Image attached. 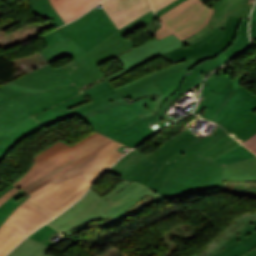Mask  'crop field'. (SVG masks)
<instances>
[{"label":"crop field","mask_w":256,"mask_h":256,"mask_svg":"<svg viewBox=\"0 0 256 256\" xmlns=\"http://www.w3.org/2000/svg\"><path fill=\"white\" fill-rule=\"evenodd\" d=\"M157 19L152 11L119 29L89 52L68 38L41 51L53 63L70 55L74 61L59 69L47 65L20 79L0 86V162L21 139L43 127L33 116L77 95L86 84L104 76L98 65L131 49L124 36ZM74 83V84H73Z\"/></svg>","instance_id":"obj_1"},{"label":"crop field","mask_w":256,"mask_h":256,"mask_svg":"<svg viewBox=\"0 0 256 256\" xmlns=\"http://www.w3.org/2000/svg\"><path fill=\"white\" fill-rule=\"evenodd\" d=\"M83 92L93 101L72 111L65 108L41 123L48 127L77 115L89 127L132 148L154 134L149 125L163 119L143 107L157 96L128 104L108 80Z\"/></svg>","instance_id":"obj_2"},{"label":"crop field","mask_w":256,"mask_h":256,"mask_svg":"<svg viewBox=\"0 0 256 256\" xmlns=\"http://www.w3.org/2000/svg\"><path fill=\"white\" fill-rule=\"evenodd\" d=\"M225 134L217 125L211 136L201 135L191 146L169 159V164L166 161L146 186L170 200L221 187L223 166L199 155Z\"/></svg>","instance_id":"obj_3"},{"label":"crop field","mask_w":256,"mask_h":256,"mask_svg":"<svg viewBox=\"0 0 256 256\" xmlns=\"http://www.w3.org/2000/svg\"><path fill=\"white\" fill-rule=\"evenodd\" d=\"M227 61L229 60L220 51L197 61L191 59L170 65L158 70L160 73L156 71L141 79H136L119 86L115 90L128 103L142 97L161 94L145 107L163 117L176 97L183 94L190 87L196 89L208 73ZM190 68H193V73L191 75H185L186 71Z\"/></svg>","instance_id":"obj_4"},{"label":"crop field","mask_w":256,"mask_h":256,"mask_svg":"<svg viewBox=\"0 0 256 256\" xmlns=\"http://www.w3.org/2000/svg\"><path fill=\"white\" fill-rule=\"evenodd\" d=\"M121 146L111 142L30 194L32 197L27 200L54 216L59 214L78 200L87 188L123 155L116 150Z\"/></svg>","instance_id":"obj_5"},{"label":"crop field","mask_w":256,"mask_h":256,"mask_svg":"<svg viewBox=\"0 0 256 256\" xmlns=\"http://www.w3.org/2000/svg\"><path fill=\"white\" fill-rule=\"evenodd\" d=\"M111 141L96 131L72 146L58 140L33 157L28 173L14 185L30 194Z\"/></svg>","instance_id":"obj_6"},{"label":"crop field","mask_w":256,"mask_h":256,"mask_svg":"<svg viewBox=\"0 0 256 256\" xmlns=\"http://www.w3.org/2000/svg\"><path fill=\"white\" fill-rule=\"evenodd\" d=\"M205 106L203 118L219 123L241 143L256 134V95L238 83L231 80Z\"/></svg>","instance_id":"obj_7"},{"label":"crop field","mask_w":256,"mask_h":256,"mask_svg":"<svg viewBox=\"0 0 256 256\" xmlns=\"http://www.w3.org/2000/svg\"><path fill=\"white\" fill-rule=\"evenodd\" d=\"M189 129L175 142L167 140L156 151L146 156L135 149L127 153L108 172L127 180L146 185L161 169L166 160L191 145L199 134Z\"/></svg>","instance_id":"obj_8"},{"label":"crop field","mask_w":256,"mask_h":256,"mask_svg":"<svg viewBox=\"0 0 256 256\" xmlns=\"http://www.w3.org/2000/svg\"><path fill=\"white\" fill-rule=\"evenodd\" d=\"M116 30L117 27L102 7H95L77 20L42 37L47 45L68 37L87 52Z\"/></svg>","instance_id":"obj_9"},{"label":"crop field","mask_w":256,"mask_h":256,"mask_svg":"<svg viewBox=\"0 0 256 256\" xmlns=\"http://www.w3.org/2000/svg\"><path fill=\"white\" fill-rule=\"evenodd\" d=\"M246 212L235 218L237 223L208 245L200 256H256V212Z\"/></svg>","instance_id":"obj_10"},{"label":"crop field","mask_w":256,"mask_h":256,"mask_svg":"<svg viewBox=\"0 0 256 256\" xmlns=\"http://www.w3.org/2000/svg\"><path fill=\"white\" fill-rule=\"evenodd\" d=\"M212 14L213 10L201 1L187 0L159 17L163 27L154 35L160 39L174 33L182 40L203 28Z\"/></svg>","instance_id":"obj_11"},{"label":"crop field","mask_w":256,"mask_h":256,"mask_svg":"<svg viewBox=\"0 0 256 256\" xmlns=\"http://www.w3.org/2000/svg\"><path fill=\"white\" fill-rule=\"evenodd\" d=\"M162 198L164 197L152 191L150 188L133 181L118 194L107 199L113 204L111 203L112 205L104 211L110 217L106 221L92 226H90L89 223L82 224L63 233L69 236L87 227H105L111 225L112 223L121 221L130 216L131 213L137 210H141L152 203L158 202V200Z\"/></svg>","instance_id":"obj_12"},{"label":"crop field","mask_w":256,"mask_h":256,"mask_svg":"<svg viewBox=\"0 0 256 256\" xmlns=\"http://www.w3.org/2000/svg\"><path fill=\"white\" fill-rule=\"evenodd\" d=\"M129 183L130 181L127 180L122 181L114 189L102 197L90 189L81 200H79L63 214L49 222V224L62 232L82 223L107 218L108 216L103 211L109 207L111 203L107 201L106 198L118 193Z\"/></svg>","instance_id":"obj_13"},{"label":"crop field","mask_w":256,"mask_h":256,"mask_svg":"<svg viewBox=\"0 0 256 256\" xmlns=\"http://www.w3.org/2000/svg\"><path fill=\"white\" fill-rule=\"evenodd\" d=\"M240 20V18L229 15L224 30L216 27L212 33L202 40L189 46L183 45L162 56L177 63L190 58L197 60L220 50L223 52L231 45Z\"/></svg>","instance_id":"obj_14"},{"label":"crop field","mask_w":256,"mask_h":256,"mask_svg":"<svg viewBox=\"0 0 256 256\" xmlns=\"http://www.w3.org/2000/svg\"><path fill=\"white\" fill-rule=\"evenodd\" d=\"M184 43L174 34L164 37L160 40L153 38L121 55L116 59L123 66V69L108 76L109 81L137 68L138 66L167 53Z\"/></svg>","instance_id":"obj_15"},{"label":"crop field","mask_w":256,"mask_h":256,"mask_svg":"<svg viewBox=\"0 0 256 256\" xmlns=\"http://www.w3.org/2000/svg\"><path fill=\"white\" fill-rule=\"evenodd\" d=\"M254 1V0H253ZM252 0H226L224 1L214 12L209 23L197 33L191 35L183 42L187 45L194 43L210 32L213 31L214 27L224 28L228 14L237 16L240 18L248 19Z\"/></svg>","instance_id":"obj_16"},{"label":"crop field","mask_w":256,"mask_h":256,"mask_svg":"<svg viewBox=\"0 0 256 256\" xmlns=\"http://www.w3.org/2000/svg\"><path fill=\"white\" fill-rule=\"evenodd\" d=\"M100 4L118 29L152 10L149 0H103Z\"/></svg>","instance_id":"obj_17"},{"label":"crop field","mask_w":256,"mask_h":256,"mask_svg":"<svg viewBox=\"0 0 256 256\" xmlns=\"http://www.w3.org/2000/svg\"><path fill=\"white\" fill-rule=\"evenodd\" d=\"M50 218L52 216L44 210L26 201L9 216L7 222L30 233Z\"/></svg>","instance_id":"obj_18"},{"label":"crop field","mask_w":256,"mask_h":256,"mask_svg":"<svg viewBox=\"0 0 256 256\" xmlns=\"http://www.w3.org/2000/svg\"><path fill=\"white\" fill-rule=\"evenodd\" d=\"M20 190L16 187L0 198V205ZM27 234V232L5 222L0 227V256H4L13 249Z\"/></svg>","instance_id":"obj_19"},{"label":"crop field","mask_w":256,"mask_h":256,"mask_svg":"<svg viewBox=\"0 0 256 256\" xmlns=\"http://www.w3.org/2000/svg\"><path fill=\"white\" fill-rule=\"evenodd\" d=\"M65 23L88 11L101 0H49Z\"/></svg>","instance_id":"obj_20"},{"label":"crop field","mask_w":256,"mask_h":256,"mask_svg":"<svg viewBox=\"0 0 256 256\" xmlns=\"http://www.w3.org/2000/svg\"><path fill=\"white\" fill-rule=\"evenodd\" d=\"M230 74H231V65L226 64L222 68H220L218 71H216L215 73L207 77L206 80L204 81L199 103H201L206 98V96L210 93L211 90L219 94L221 90L232 79L230 78ZM243 77L244 75L241 77H235L233 80L240 83Z\"/></svg>","instance_id":"obj_21"},{"label":"crop field","mask_w":256,"mask_h":256,"mask_svg":"<svg viewBox=\"0 0 256 256\" xmlns=\"http://www.w3.org/2000/svg\"><path fill=\"white\" fill-rule=\"evenodd\" d=\"M224 167V181L256 180V157Z\"/></svg>","instance_id":"obj_22"},{"label":"crop field","mask_w":256,"mask_h":256,"mask_svg":"<svg viewBox=\"0 0 256 256\" xmlns=\"http://www.w3.org/2000/svg\"><path fill=\"white\" fill-rule=\"evenodd\" d=\"M247 27L248 21L242 19L237 29L236 38L233 44L224 51L229 60L238 55L248 46L249 38L247 35Z\"/></svg>","instance_id":"obj_23"},{"label":"crop field","mask_w":256,"mask_h":256,"mask_svg":"<svg viewBox=\"0 0 256 256\" xmlns=\"http://www.w3.org/2000/svg\"><path fill=\"white\" fill-rule=\"evenodd\" d=\"M50 247L26 238L7 256H49L44 254Z\"/></svg>","instance_id":"obj_24"},{"label":"crop field","mask_w":256,"mask_h":256,"mask_svg":"<svg viewBox=\"0 0 256 256\" xmlns=\"http://www.w3.org/2000/svg\"><path fill=\"white\" fill-rule=\"evenodd\" d=\"M30 3L33 11L43 19L53 20L56 27L64 24L48 0H30Z\"/></svg>","instance_id":"obj_25"},{"label":"crop field","mask_w":256,"mask_h":256,"mask_svg":"<svg viewBox=\"0 0 256 256\" xmlns=\"http://www.w3.org/2000/svg\"><path fill=\"white\" fill-rule=\"evenodd\" d=\"M240 145L236 142L231 136L228 134L205 150L201 156L206 157L210 160L216 158L217 156L221 155L222 153Z\"/></svg>","instance_id":"obj_26"},{"label":"crop field","mask_w":256,"mask_h":256,"mask_svg":"<svg viewBox=\"0 0 256 256\" xmlns=\"http://www.w3.org/2000/svg\"><path fill=\"white\" fill-rule=\"evenodd\" d=\"M253 153L244 148L242 145L237 147L236 149L226 153L225 155L213 160L221 165L238 162L241 160H245L251 157H255Z\"/></svg>","instance_id":"obj_27"},{"label":"crop field","mask_w":256,"mask_h":256,"mask_svg":"<svg viewBox=\"0 0 256 256\" xmlns=\"http://www.w3.org/2000/svg\"><path fill=\"white\" fill-rule=\"evenodd\" d=\"M84 96H85V95L81 94V95H79V96H77V97H75V98H73V99H71V100H68V101H66V102H64V103H61V104H58V105H56V106H54V107H52V108H50V109H48V110H45V111H43V112H41V113L35 115L34 117H35L36 119H38L39 121H41V120H43V119H45V118H47V117L53 115L54 113L60 111L61 109L65 108V107L68 108V107H70V106H72V105H74V104H77V103H79V102L85 100V99L83 98ZM83 102H84V101H83ZM38 120H37V121H38Z\"/></svg>","instance_id":"obj_28"},{"label":"crop field","mask_w":256,"mask_h":256,"mask_svg":"<svg viewBox=\"0 0 256 256\" xmlns=\"http://www.w3.org/2000/svg\"><path fill=\"white\" fill-rule=\"evenodd\" d=\"M25 192L20 191L18 194L12 196L9 200H7L5 203H3L0 206V220L3 218V216L9 211L11 210L17 203H19L21 200H19L18 202L15 201L16 199H18L20 196H22Z\"/></svg>","instance_id":"obj_29"},{"label":"crop field","mask_w":256,"mask_h":256,"mask_svg":"<svg viewBox=\"0 0 256 256\" xmlns=\"http://www.w3.org/2000/svg\"><path fill=\"white\" fill-rule=\"evenodd\" d=\"M54 230V228H52L51 226H49L48 224H46L45 226H43L41 229H39L38 231H36L34 234H32L31 236H29V238L39 242L41 241L43 238H45L46 236H48L50 233H52Z\"/></svg>","instance_id":"obj_30"},{"label":"crop field","mask_w":256,"mask_h":256,"mask_svg":"<svg viewBox=\"0 0 256 256\" xmlns=\"http://www.w3.org/2000/svg\"><path fill=\"white\" fill-rule=\"evenodd\" d=\"M184 0H176L173 3L163 7L162 9H160L159 11L156 12L157 17L161 16L162 14H164L165 12H167L169 9H171L172 7H174L175 5H177L178 3L182 2ZM204 1V0H201ZM224 0H219L216 5L212 8V9H216Z\"/></svg>","instance_id":"obj_31"},{"label":"crop field","mask_w":256,"mask_h":256,"mask_svg":"<svg viewBox=\"0 0 256 256\" xmlns=\"http://www.w3.org/2000/svg\"><path fill=\"white\" fill-rule=\"evenodd\" d=\"M172 121H174V118L165 114V117L162 121H160V122H158V123H156V124H154L150 127L155 129L156 131H159L160 129H162L163 127H165L166 125H168Z\"/></svg>","instance_id":"obj_32"},{"label":"crop field","mask_w":256,"mask_h":256,"mask_svg":"<svg viewBox=\"0 0 256 256\" xmlns=\"http://www.w3.org/2000/svg\"><path fill=\"white\" fill-rule=\"evenodd\" d=\"M174 0H151L152 2V6L155 10V12L157 10H159L161 7L173 2ZM162 9V8H161Z\"/></svg>","instance_id":"obj_33"},{"label":"crop field","mask_w":256,"mask_h":256,"mask_svg":"<svg viewBox=\"0 0 256 256\" xmlns=\"http://www.w3.org/2000/svg\"><path fill=\"white\" fill-rule=\"evenodd\" d=\"M251 37L256 38V6L251 19Z\"/></svg>","instance_id":"obj_34"},{"label":"crop field","mask_w":256,"mask_h":256,"mask_svg":"<svg viewBox=\"0 0 256 256\" xmlns=\"http://www.w3.org/2000/svg\"><path fill=\"white\" fill-rule=\"evenodd\" d=\"M245 146L249 148L253 147L256 145V135H254L253 137H251L250 139H248L247 141H245L244 143Z\"/></svg>","instance_id":"obj_35"},{"label":"crop field","mask_w":256,"mask_h":256,"mask_svg":"<svg viewBox=\"0 0 256 256\" xmlns=\"http://www.w3.org/2000/svg\"><path fill=\"white\" fill-rule=\"evenodd\" d=\"M214 92H211L207 98L195 109L194 113L197 115L198 112L203 108V106L207 103V101L212 97Z\"/></svg>","instance_id":"obj_36"},{"label":"crop field","mask_w":256,"mask_h":256,"mask_svg":"<svg viewBox=\"0 0 256 256\" xmlns=\"http://www.w3.org/2000/svg\"><path fill=\"white\" fill-rule=\"evenodd\" d=\"M31 197L30 195H28L23 201H21L19 204H17L11 211H9L5 216L4 218L0 221V226L3 222L6 221V219L8 218V216L21 204L23 203L24 201H26L27 198Z\"/></svg>","instance_id":"obj_37"},{"label":"crop field","mask_w":256,"mask_h":256,"mask_svg":"<svg viewBox=\"0 0 256 256\" xmlns=\"http://www.w3.org/2000/svg\"><path fill=\"white\" fill-rule=\"evenodd\" d=\"M13 187H15L14 185H12L10 188L6 189L5 191L0 193V197H2L5 193H7L9 190H11Z\"/></svg>","instance_id":"obj_38"},{"label":"crop field","mask_w":256,"mask_h":256,"mask_svg":"<svg viewBox=\"0 0 256 256\" xmlns=\"http://www.w3.org/2000/svg\"><path fill=\"white\" fill-rule=\"evenodd\" d=\"M249 150H251L253 153H255V154H256V146H255V147H253V148H251V149H249Z\"/></svg>","instance_id":"obj_39"},{"label":"crop field","mask_w":256,"mask_h":256,"mask_svg":"<svg viewBox=\"0 0 256 256\" xmlns=\"http://www.w3.org/2000/svg\"><path fill=\"white\" fill-rule=\"evenodd\" d=\"M193 256H197V255L195 254V255H193Z\"/></svg>","instance_id":"obj_40"},{"label":"crop field","mask_w":256,"mask_h":256,"mask_svg":"<svg viewBox=\"0 0 256 256\" xmlns=\"http://www.w3.org/2000/svg\"><path fill=\"white\" fill-rule=\"evenodd\" d=\"M243 256H245V255H243Z\"/></svg>","instance_id":"obj_41"}]
</instances>
